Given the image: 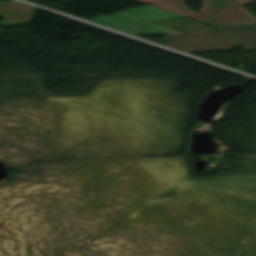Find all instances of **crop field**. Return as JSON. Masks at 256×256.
Wrapping results in <instances>:
<instances>
[{
	"label": "crop field",
	"instance_id": "crop-field-1",
	"mask_svg": "<svg viewBox=\"0 0 256 256\" xmlns=\"http://www.w3.org/2000/svg\"><path fill=\"white\" fill-rule=\"evenodd\" d=\"M173 18H182V16L145 5L108 16L100 15L90 21L135 35L181 33L151 22Z\"/></svg>",
	"mask_w": 256,
	"mask_h": 256
},
{
	"label": "crop field",
	"instance_id": "crop-field-2",
	"mask_svg": "<svg viewBox=\"0 0 256 256\" xmlns=\"http://www.w3.org/2000/svg\"><path fill=\"white\" fill-rule=\"evenodd\" d=\"M199 13L191 12L183 0L150 4L211 25L256 23V19L235 0H202Z\"/></svg>",
	"mask_w": 256,
	"mask_h": 256
},
{
	"label": "crop field",
	"instance_id": "crop-field-7",
	"mask_svg": "<svg viewBox=\"0 0 256 256\" xmlns=\"http://www.w3.org/2000/svg\"><path fill=\"white\" fill-rule=\"evenodd\" d=\"M144 3H150V2H156V1H162V0H138Z\"/></svg>",
	"mask_w": 256,
	"mask_h": 256
},
{
	"label": "crop field",
	"instance_id": "crop-field-4",
	"mask_svg": "<svg viewBox=\"0 0 256 256\" xmlns=\"http://www.w3.org/2000/svg\"><path fill=\"white\" fill-rule=\"evenodd\" d=\"M35 9L18 2L0 3V16L4 18L0 25L29 23Z\"/></svg>",
	"mask_w": 256,
	"mask_h": 256
},
{
	"label": "crop field",
	"instance_id": "crop-field-5",
	"mask_svg": "<svg viewBox=\"0 0 256 256\" xmlns=\"http://www.w3.org/2000/svg\"><path fill=\"white\" fill-rule=\"evenodd\" d=\"M220 28L227 29L229 31H249L256 30V24H245V25H225V26H217Z\"/></svg>",
	"mask_w": 256,
	"mask_h": 256
},
{
	"label": "crop field",
	"instance_id": "crop-field-6",
	"mask_svg": "<svg viewBox=\"0 0 256 256\" xmlns=\"http://www.w3.org/2000/svg\"><path fill=\"white\" fill-rule=\"evenodd\" d=\"M236 1H238L240 4L254 3V2L251 1V0H236Z\"/></svg>",
	"mask_w": 256,
	"mask_h": 256
},
{
	"label": "crop field",
	"instance_id": "crop-field-3",
	"mask_svg": "<svg viewBox=\"0 0 256 256\" xmlns=\"http://www.w3.org/2000/svg\"><path fill=\"white\" fill-rule=\"evenodd\" d=\"M233 47L256 50V31L230 32ZM166 45L183 52L232 49L228 32L165 35Z\"/></svg>",
	"mask_w": 256,
	"mask_h": 256
}]
</instances>
